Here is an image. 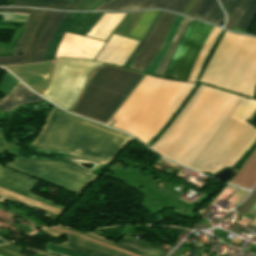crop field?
I'll use <instances>...</instances> for the list:
<instances>
[{
  "mask_svg": "<svg viewBox=\"0 0 256 256\" xmlns=\"http://www.w3.org/2000/svg\"><path fill=\"white\" fill-rule=\"evenodd\" d=\"M244 101L245 98L200 85L152 147L200 171L230 165L256 137V129L246 123L256 111V102ZM255 142L256 138L227 167L234 166ZM176 160L173 161L202 173Z\"/></svg>",
  "mask_w": 256,
  "mask_h": 256,
  "instance_id": "obj_1",
  "label": "crop field"
},
{
  "mask_svg": "<svg viewBox=\"0 0 256 256\" xmlns=\"http://www.w3.org/2000/svg\"><path fill=\"white\" fill-rule=\"evenodd\" d=\"M195 84L146 75L108 125L150 142Z\"/></svg>",
  "mask_w": 256,
  "mask_h": 256,
  "instance_id": "obj_2",
  "label": "crop field"
},
{
  "mask_svg": "<svg viewBox=\"0 0 256 256\" xmlns=\"http://www.w3.org/2000/svg\"><path fill=\"white\" fill-rule=\"evenodd\" d=\"M131 140L122 133L68 114L54 106L32 146L71 151L111 161Z\"/></svg>",
  "mask_w": 256,
  "mask_h": 256,
  "instance_id": "obj_3",
  "label": "crop field"
},
{
  "mask_svg": "<svg viewBox=\"0 0 256 256\" xmlns=\"http://www.w3.org/2000/svg\"><path fill=\"white\" fill-rule=\"evenodd\" d=\"M200 82L252 97L256 87V37L226 31Z\"/></svg>",
  "mask_w": 256,
  "mask_h": 256,
  "instance_id": "obj_4",
  "label": "crop field"
},
{
  "mask_svg": "<svg viewBox=\"0 0 256 256\" xmlns=\"http://www.w3.org/2000/svg\"><path fill=\"white\" fill-rule=\"evenodd\" d=\"M143 76L109 65L101 66L87 80L71 112L106 124Z\"/></svg>",
  "mask_w": 256,
  "mask_h": 256,
  "instance_id": "obj_5",
  "label": "crop field"
},
{
  "mask_svg": "<svg viewBox=\"0 0 256 256\" xmlns=\"http://www.w3.org/2000/svg\"><path fill=\"white\" fill-rule=\"evenodd\" d=\"M5 165L80 195L96 178L71 165L49 159H17Z\"/></svg>",
  "mask_w": 256,
  "mask_h": 256,
  "instance_id": "obj_6",
  "label": "crop field"
},
{
  "mask_svg": "<svg viewBox=\"0 0 256 256\" xmlns=\"http://www.w3.org/2000/svg\"><path fill=\"white\" fill-rule=\"evenodd\" d=\"M102 64L104 63L58 59L44 96L68 110L80 93L87 75Z\"/></svg>",
  "mask_w": 256,
  "mask_h": 256,
  "instance_id": "obj_7",
  "label": "crop field"
},
{
  "mask_svg": "<svg viewBox=\"0 0 256 256\" xmlns=\"http://www.w3.org/2000/svg\"><path fill=\"white\" fill-rule=\"evenodd\" d=\"M213 26L192 20L163 77L187 81L193 63Z\"/></svg>",
  "mask_w": 256,
  "mask_h": 256,
  "instance_id": "obj_8",
  "label": "crop field"
},
{
  "mask_svg": "<svg viewBox=\"0 0 256 256\" xmlns=\"http://www.w3.org/2000/svg\"><path fill=\"white\" fill-rule=\"evenodd\" d=\"M102 13H69L60 23L50 40L44 60H53L57 47L65 32L84 36Z\"/></svg>",
  "mask_w": 256,
  "mask_h": 256,
  "instance_id": "obj_9",
  "label": "crop field"
},
{
  "mask_svg": "<svg viewBox=\"0 0 256 256\" xmlns=\"http://www.w3.org/2000/svg\"><path fill=\"white\" fill-rule=\"evenodd\" d=\"M174 17L175 15L164 12L158 25L156 24L157 26L153 34L151 35L149 41L144 46V48L139 53V55L137 56L135 61L132 63L129 69H133L141 72L144 71V69L147 67V65L150 63V61L154 58V56L159 51Z\"/></svg>",
  "mask_w": 256,
  "mask_h": 256,
  "instance_id": "obj_10",
  "label": "crop field"
},
{
  "mask_svg": "<svg viewBox=\"0 0 256 256\" xmlns=\"http://www.w3.org/2000/svg\"><path fill=\"white\" fill-rule=\"evenodd\" d=\"M103 45L104 42L65 33L55 58L74 57L93 59Z\"/></svg>",
  "mask_w": 256,
  "mask_h": 256,
  "instance_id": "obj_11",
  "label": "crop field"
},
{
  "mask_svg": "<svg viewBox=\"0 0 256 256\" xmlns=\"http://www.w3.org/2000/svg\"><path fill=\"white\" fill-rule=\"evenodd\" d=\"M188 0H111L95 10H133L162 8L180 13Z\"/></svg>",
  "mask_w": 256,
  "mask_h": 256,
  "instance_id": "obj_12",
  "label": "crop field"
},
{
  "mask_svg": "<svg viewBox=\"0 0 256 256\" xmlns=\"http://www.w3.org/2000/svg\"><path fill=\"white\" fill-rule=\"evenodd\" d=\"M38 180L33 179L28 176L21 175L17 172H14L8 168H5L0 165V187L8 189L10 191L19 193L21 195L38 199L44 203L59 207L65 210V207L35 196L30 193L31 189L35 186ZM37 185V184H36Z\"/></svg>",
  "mask_w": 256,
  "mask_h": 256,
  "instance_id": "obj_13",
  "label": "crop field"
},
{
  "mask_svg": "<svg viewBox=\"0 0 256 256\" xmlns=\"http://www.w3.org/2000/svg\"><path fill=\"white\" fill-rule=\"evenodd\" d=\"M46 229H49V228H46ZM46 229H43L42 231H44L45 233H47L48 235H50L56 239H58L62 234V233L58 234L59 232L55 233L57 231L52 232L54 230L49 231L51 229H49V230H46ZM64 235H66V234H64ZM66 236H67V245H66L67 248L88 252V253H91L93 255H98V256H128L126 254L120 253L118 251L112 250L110 248L104 247V246L96 244V243L82 240V239H79V238H76V237H73L70 235H66Z\"/></svg>",
  "mask_w": 256,
  "mask_h": 256,
  "instance_id": "obj_14",
  "label": "crop field"
},
{
  "mask_svg": "<svg viewBox=\"0 0 256 256\" xmlns=\"http://www.w3.org/2000/svg\"><path fill=\"white\" fill-rule=\"evenodd\" d=\"M0 11L32 13V15L31 14L14 13L11 18V20L27 22L31 15V17H30L22 35L20 36L12 54L22 53L42 11L41 10H32V9H22V8H0Z\"/></svg>",
  "mask_w": 256,
  "mask_h": 256,
  "instance_id": "obj_15",
  "label": "crop field"
},
{
  "mask_svg": "<svg viewBox=\"0 0 256 256\" xmlns=\"http://www.w3.org/2000/svg\"><path fill=\"white\" fill-rule=\"evenodd\" d=\"M28 90L18 81L14 89L6 97L0 100V109L9 111L17 105L43 100L41 97Z\"/></svg>",
  "mask_w": 256,
  "mask_h": 256,
  "instance_id": "obj_16",
  "label": "crop field"
},
{
  "mask_svg": "<svg viewBox=\"0 0 256 256\" xmlns=\"http://www.w3.org/2000/svg\"><path fill=\"white\" fill-rule=\"evenodd\" d=\"M61 228H65V227H61ZM65 229H68V228H65ZM68 230H71V231L86 235L88 237H91V238H94V239H97V240L115 245L113 243H110V242L105 241L103 239H100V238H97L95 236L89 235L87 233L78 232V231H75V230H72V229H68ZM115 246L126 249V250H129L131 252L137 253V254L142 255V256H165L167 254V252L145 246L143 244H140V243L135 242L133 240L127 239L125 237H123V239Z\"/></svg>",
  "mask_w": 256,
  "mask_h": 256,
  "instance_id": "obj_17",
  "label": "crop field"
},
{
  "mask_svg": "<svg viewBox=\"0 0 256 256\" xmlns=\"http://www.w3.org/2000/svg\"><path fill=\"white\" fill-rule=\"evenodd\" d=\"M68 13L66 12H53L40 39L37 46L36 59L35 62L42 61L44 52L46 50L47 44L51 39L56 27L59 23L66 17Z\"/></svg>",
  "mask_w": 256,
  "mask_h": 256,
  "instance_id": "obj_18",
  "label": "crop field"
},
{
  "mask_svg": "<svg viewBox=\"0 0 256 256\" xmlns=\"http://www.w3.org/2000/svg\"><path fill=\"white\" fill-rule=\"evenodd\" d=\"M51 12L48 11H44L41 18L39 19L33 35L31 37V40L25 50L24 53V58H23V62H14V63H8L9 65H13V64H22V63H31L34 62V58H35V51H36V46H37V42H38V38L50 16Z\"/></svg>",
  "mask_w": 256,
  "mask_h": 256,
  "instance_id": "obj_19",
  "label": "crop field"
},
{
  "mask_svg": "<svg viewBox=\"0 0 256 256\" xmlns=\"http://www.w3.org/2000/svg\"><path fill=\"white\" fill-rule=\"evenodd\" d=\"M183 20V17H179L177 16V18L175 19V21L173 22L167 37L159 51V53L156 55V57L152 60V62L148 65V67L145 69L144 73L147 74H153L154 70L157 68V66L159 65V63L162 61V59L164 58L181 22Z\"/></svg>",
  "mask_w": 256,
  "mask_h": 256,
  "instance_id": "obj_20",
  "label": "crop field"
},
{
  "mask_svg": "<svg viewBox=\"0 0 256 256\" xmlns=\"http://www.w3.org/2000/svg\"><path fill=\"white\" fill-rule=\"evenodd\" d=\"M256 18V0H250L245 9L242 11L232 30L246 33L249 26ZM235 31V32H236Z\"/></svg>",
  "mask_w": 256,
  "mask_h": 256,
  "instance_id": "obj_21",
  "label": "crop field"
},
{
  "mask_svg": "<svg viewBox=\"0 0 256 256\" xmlns=\"http://www.w3.org/2000/svg\"><path fill=\"white\" fill-rule=\"evenodd\" d=\"M191 20L190 19H184L168 53L166 54L165 58L163 59V61L161 62V64L159 65L158 69L156 70V72L154 73L155 76H159L161 77L163 75V73L165 72L166 68L168 67L175 51H176V48L183 36V34L185 33L187 27L189 26Z\"/></svg>",
  "mask_w": 256,
  "mask_h": 256,
  "instance_id": "obj_22",
  "label": "crop field"
},
{
  "mask_svg": "<svg viewBox=\"0 0 256 256\" xmlns=\"http://www.w3.org/2000/svg\"><path fill=\"white\" fill-rule=\"evenodd\" d=\"M220 32H221V29L214 27L212 33L210 34L209 38L207 39L205 45L203 46L194 66H193V69H192V72L190 74L188 81L196 82L198 73L201 69L200 66H201L203 60L205 59L207 53L209 52L214 40L216 39V37L218 36V34Z\"/></svg>",
  "mask_w": 256,
  "mask_h": 256,
  "instance_id": "obj_23",
  "label": "crop field"
},
{
  "mask_svg": "<svg viewBox=\"0 0 256 256\" xmlns=\"http://www.w3.org/2000/svg\"><path fill=\"white\" fill-rule=\"evenodd\" d=\"M157 11H148L144 12L142 15L141 19L137 23V25L134 27L131 35L129 36L130 38L142 40L144 37L145 33L149 29Z\"/></svg>",
  "mask_w": 256,
  "mask_h": 256,
  "instance_id": "obj_24",
  "label": "crop field"
},
{
  "mask_svg": "<svg viewBox=\"0 0 256 256\" xmlns=\"http://www.w3.org/2000/svg\"><path fill=\"white\" fill-rule=\"evenodd\" d=\"M163 14V12H158L153 24L151 25L150 29L148 30L146 36L144 37L143 41L141 42L140 46L137 48V50L134 52V54L132 55V57L129 59V61L126 63V65L124 67L129 68V66L131 65V63L134 61V59L136 58V56L138 55V53L141 51V49L143 48V46L146 44V42L148 41L151 33L153 32L156 24L158 23L161 15Z\"/></svg>",
  "mask_w": 256,
  "mask_h": 256,
  "instance_id": "obj_25",
  "label": "crop field"
},
{
  "mask_svg": "<svg viewBox=\"0 0 256 256\" xmlns=\"http://www.w3.org/2000/svg\"><path fill=\"white\" fill-rule=\"evenodd\" d=\"M48 250H51V251H54L57 253H61V254L67 255V256H90V255H87V254H84V253H81L78 251L66 249V248L60 247L58 245L50 244V243L48 244Z\"/></svg>",
  "mask_w": 256,
  "mask_h": 256,
  "instance_id": "obj_26",
  "label": "crop field"
},
{
  "mask_svg": "<svg viewBox=\"0 0 256 256\" xmlns=\"http://www.w3.org/2000/svg\"><path fill=\"white\" fill-rule=\"evenodd\" d=\"M19 2H27V3H34V4H43V5H51V6H58L63 7L70 2L64 0H17Z\"/></svg>",
  "mask_w": 256,
  "mask_h": 256,
  "instance_id": "obj_27",
  "label": "crop field"
},
{
  "mask_svg": "<svg viewBox=\"0 0 256 256\" xmlns=\"http://www.w3.org/2000/svg\"><path fill=\"white\" fill-rule=\"evenodd\" d=\"M248 1L249 0H241V2L236 7V9L233 11V13L231 14L230 18L227 21V24H226L227 28L231 29L232 25L234 24V22L236 21L237 17L241 13V11L244 9V7L248 3Z\"/></svg>",
  "mask_w": 256,
  "mask_h": 256,
  "instance_id": "obj_28",
  "label": "crop field"
},
{
  "mask_svg": "<svg viewBox=\"0 0 256 256\" xmlns=\"http://www.w3.org/2000/svg\"><path fill=\"white\" fill-rule=\"evenodd\" d=\"M256 202V188L249 198L237 210L240 215H244Z\"/></svg>",
  "mask_w": 256,
  "mask_h": 256,
  "instance_id": "obj_29",
  "label": "crop field"
},
{
  "mask_svg": "<svg viewBox=\"0 0 256 256\" xmlns=\"http://www.w3.org/2000/svg\"><path fill=\"white\" fill-rule=\"evenodd\" d=\"M79 2V0H74L71 4L63 7V8H57V7H50V6H42V5H34V4H26V3H19L15 2L12 5H18V6H30V7H40V8H49V9H57V10H70L74 5H76Z\"/></svg>",
  "mask_w": 256,
  "mask_h": 256,
  "instance_id": "obj_30",
  "label": "crop field"
},
{
  "mask_svg": "<svg viewBox=\"0 0 256 256\" xmlns=\"http://www.w3.org/2000/svg\"><path fill=\"white\" fill-rule=\"evenodd\" d=\"M239 2L240 0H223L221 4L226 12L227 19Z\"/></svg>",
  "mask_w": 256,
  "mask_h": 256,
  "instance_id": "obj_31",
  "label": "crop field"
},
{
  "mask_svg": "<svg viewBox=\"0 0 256 256\" xmlns=\"http://www.w3.org/2000/svg\"><path fill=\"white\" fill-rule=\"evenodd\" d=\"M213 2L214 0H206L199 9V11L197 12V14L195 15V18L201 19Z\"/></svg>",
  "mask_w": 256,
  "mask_h": 256,
  "instance_id": "obj_32",
  "label": "crop field"
},
{
  "mask_svg": "<svg viewBox=\"0 0 256 256\" xmlns=\"http://www.w3.org/2000/svg\"><path fill=\"white\" fill-rule=\"evenodd\" d=\"M210 22H212L214 24H218V25L222 24L223 13L221 12L219 6H218L217 10L215 11V13L213 14L212 18L210 19Z\"/></svg>",
  "mask_w": 256,
  "mask_h": 256,
  "instance_id": "obj_33",
  "label": "crop field"
},
{
  "mask_svg": "<svg viewBox=\"0 0 256 256\" xmlns=\"http://www.w3.org/2000/svg\"><path fill=\"white\" fill-rule=\"evenodd\" d=\"M97 0H82L77 6H75L72 10H86Z\"/></svg>",
  "mask_w": 256,
  "mask_h": 256,
  "instance_id": "obj_34",
  "label": "crop field"
},
{
  "mask_svg": "<svg viewBox=\"0 0 256 256\" xmlns=\"http://www.w3.org/2000/svg\"><path fill=\"white\" fill-rule=\"evenodd\" d=\"M218 4L215 0V2L212 4V6L209 8V10L206 12V14L203 16V20L209 21L210 17L214 13L215 9L217 8Z\"/></svg>",
  "mask_w": 256,
  "mask_h": 256,
  "instance_id": "obj_35",
  "label": "crop field"
},
{
  "mask_svg": "<svg viewBox=\"0 0 256 256\" xmlns=\"http://www.w3.org/2000/svg\"><path fill=\"white\" fill-rule=\"evenodd\" d=\"M21 58H22V55L0 57V63L13 62V61H21Z\"/></svg>",
  "mask_w": 256,
  "mask_h": 256,
  "instance_id": "obj_36",
  "label": "crop field"
},
{
  "mask_svg": "<svg viewBox=\"0 0 256 256\" xmlns=\"http://www.w3.org/2000/svg\"><path fill=\"white\" fill-rule=\"evenodd\" d=\"M205 0H198L197 3L194 5V7L191 9V11L188 13V16L194 17L200 6Z\"/></svg>",
  "mask_w": 256,
  "mask_h": 256,
  "instance_id": "obj_37",
  "label": "crop field"
},
{
  "mask_svg": "<svg viewBox=\"0 0 256 256\" xmlns=\"http://www.w3.org/2000/svg\"><path fill=\"white\" fill-rule=\"evenodd\" d=\"M0 24H18V25H23L24 23H15V22L0 21Z\"/></svg>",
  "mask_w": 256,
  "mask_h": 256,
  "instance_id": "obj_38",
  "label": "crop field"
},
{
  "mask_svg": "<svg viewBox=\"0 0 256 256\" xmlns=\"http://www.w3.org/2000/svg\"><path fill=\"white\" fill-rule=\"evenodd\" d=\"M192 0H189V2L186 4V6L184 7V9L181 11V14H183V12L185 11V9L188 7V5L190 4Z\"/></svg>",
  "mask_w": 256,
  "mask_h": 256,
  "instance_id": "obj_39",
  "label": "crop field"
},
{
  "mask_svg": "<svg viewBox=\"0 0 256 256\" xmlns=\"http://www.w3.org/2000/svg\"><path fill=\"white\" fill-rule=\"evenodd\" d=\"M103 14H104V13H103ZM126 15H127V14H126ZM101 17H102V16H101ZM101 17H100V18H101ZM125 17H126V16H125ZM124 19H125V18H124ZM124 19H123V20H124ZM123 20H122V21H123ZM122 21L118 24V26L122 23ZM97 22H98V21H97ZM97 22H96V23H97ZM96 23H95V24H96ZM118 26H117V27H118ZM93 27H94V26H93ZM93 27H92V28H93ZM117 27H116V28H117ZM92 28H91V29H92ZM116 28H115V29H116ZM91 29H90V30H91ZM115 29H114V30H115ZM90 30H89V31H90ZM89 31H88V32H89ZM88 32H87V33H88ZM110 35H111V34H110ZM86 37H87V36H86ZM107 39H108V38H107ZM105 42H106V41H105Z\"/></svg>",
  "mask_w": 256,
  "mask_h": 256,
  "instance_id": "obj_40",
  "label": "crop field"
},
{
  "mask_svg": "<svg viewBox=\"0 0 256 256\" xmlns=\"http://www.w3.org/2000/svg\"><path fill=\"white\" fill-rule=\"evenodd\" d=\"M112 35H113V33H112ZM112 35H111V36H112ZM111 36H110V38H111ZM110 38H109V39H110ZM107 42H108V41H107ZM139 44H140V42L138 43V45H139ZM138 45H137V46H138ZM104 46H105V45H104ZM137 46H136V48H137ZM136 48H135V49H136ZM135 49H134V50H135ZM101 50H102V49H101ZM101 50H100V51H101ZM133 52H134V51H133ZM133 52H132V53H133ZM98 54H99V53H98ZM98 54H97V55H98ZM97 55H96V56H97ZM130 56H131V55H130ZM95 58H96V57H95ZM95 58H94V59H95Z\"/></svg>",
  "mask_w": 256,
  "mask_h": 256,
  "instance_id": "obj_41",
  "label": "crop field"
},
{
  "mask_svg": "<svg viewBox=\"0 0 256 256\" xmlns=\"http://www.w3.org/2000/svg\"><path fill=\"white\" fill-rule=\"evenodd\" d=\"M2 243H7V242L0 240V244H2Z\"/></svg>",
  "mask_w": 256,
  "mask_h": 256,
  "instance_id": "obj_42",
  "label": "crop field"
},
{
  "mask_svg": "<svg viewBox=\"0 0 256 256\" xmlns=\"http://www.w3.org/2000/svg\"><path fill=\"white\" fill-rule=\"evenodd\" d=\"M0 239L5 240V241H8V242H12V241H9V240L3 239V238H0Z\"/></svg>",
  "mask_w": 256,
  "mask_h": 256,
  "instance_id": "obj_43",
  "label": "crop field"
},
{
  "mask_svg": "<svg viewBox=\"0 0 256 256\" xmlns=\"http://www.w3.org/2000/svg\"><path fill=\"white\" fill-rule=\"evenodd\" d=\"M2 200H4V198L0 197V202H1Z\"/></svg>",
  "mask_w": 256,
  "mask_h": 256,
  "instance_id": "obj_44",
  "label": "crop field"
},
{
  "mask_svg": "<svg viewBox=\"0 0 256 256\" xmlns=\"http://www.w3.org/2000/svg\"><path fill=\"white\" fill-rule=\"evenodd\" d=\"M3 65H8V64H0V66H3Z\"/></svg>",
  "mask_w": 256,
  "mask_h": 256,
  "instance_id": "obj_45",
  "label": "crop field"
},
{
  "mask_svg": "<svg viewBox=\"0 0 256 256\" xmlns=\"http://www.w3.org/2000/svg\"><path fill=\"white\" fill-rule=\"evenodd\" d=\"M100 1H101V0H100ZM103 1L108 2L109 0H103Z\"/></svg>",
  "mask_w": 256,
  "mask_h": 256,
  "instance_id": "obj_46",
  "label": "crop field"
},
{
  "mask_svg": "<svg viewBox=\"0 0 256 256\" xmlns=\"http://www.w3.org/2000/svg\"><path fill=\"white\" fill-rule=\"evenodd\" d=\"M200 255H201V254H199V253H198V255H197V256H200Z\"/></svg>",
  "mask_w": 256,
  "mask_h": 256,
  "instance_id": "obj_47",
  "label": "crop field"
},
{
  "mask_svg": "<svg viewBox=\"0 0 256 256\" xmlns=\"http://www.w3.org/2000/svg\"><path fill=\"white\" fill-rule=\"evenodd\" d=\"M220 1V3L222 2V0H219Z\"/></svg>",
  "mask_w": 256,
  "mask_h": 256,
  "instance_id": "obj_48",
  "label": "crop field"
}]
</instances>
